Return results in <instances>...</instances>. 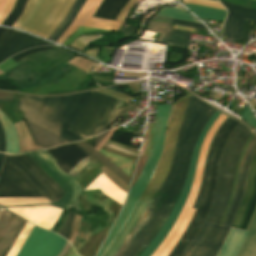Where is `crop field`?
Returning a JSON list of instances; mask_svg holds the SVG:
<instances>
[{
    "label": "crop field",
    "mask_w": 256,
    "mask_h": 256,
    "mask_svg": "<svg viewBox=\"0 0 256 256\" xmlns=\"http://www.w3.org/2000/svg\"><path fill=\"white\" fill-rule=\"evenodd\" d=\"M184 5L198 18H207V19L222 21L225 15V11L223 10H217L212 8L194 6V5H186V4Z\"/></svg>",
    "instance_id": "crop-field-27"
},
{
    "label": "crop field",
    "mask_w": 256,
    "mask_h": 256,
    "mask_svg": "<svg viewBox=\"0 0 256 256\" xmlns=\"http://www.w3.org/2000/svg\"><path fill=\"white\" fill-rule=\"evenodd\" d=\"M107 132H108V131H107ZM107 132H104V133L100 134L94 141H92V142L90 143V145H92L93 147H95V146L99 143V141L107 134Z\"/></svg>",
    "instance_id": "crop-field-46"
},
{
    "label": "crop field",
    "mask_w": 256,
    "mask_h": 256,
    "mask_svg": "<svg viewBox=\"0 0 256 256\" xmlns=\"http://www.w3.org/2000/svg\"><path fill=\"white\" fill-rule=\"evenodd\" d=\"M214 111L190 95L168 175L114 256H139L155 238L179 198L195 142Z\"/></svg>",
    "instance_id": "crop-field-1"
},
{
    "label": "crop field",
    "mask_w": 256,
    "mask_h": 256,
    "mask_svg": "<svg viewBox=\"0 0 256 256\" xmlns=\"http://www.w3.org/2000/svg\"><path fill=\"white\" fill-rule=\"evenodd\" d=\"M97 52H98V48H93V49H90V50H88V51H86V52H84V53L89 54L90 56H92V57H94V58L100 60V59L97 57ZM100 61H101V60H100Z\"/></svg>",
    "instance_id": "crop-field-45"
},
{
    "label": "crop field",
    "mask_w": 256,
    "mask_h": 256,
    "mask_svg": "<svg viewBox=\"0 0 256 256\" xmlns=\"http://www.w3.org/2000/svg\"><path fill=\"white\" fill-rule=\"evenodd\" d=\"M74 215H75L74 213L70 212V214H69L68 218L66 219L65 223L63 224L61 229L58 231V234L63 236L65 239H68V237L70 235L71 224H72Z\"/></svg>",
    "instance_id": "crop-field-35"
},
{
    "label": "crop field",
    "mask_w": 256,
    "mask_h": 256,
    "mask_svg": "<svg viewBox=\"0 0 256 256\" xmlns=\"http://www.w3.org/2000/svg\"><path fill=\"white\" fill-rule=\"evenodd\" d=\"M152 20H157V21H162V22H167V23H172V24H177V25H182V26H187V27H192V28H200V29H206L203 25L200 24H194V23H189L185 21H180L164 16H158L155 15Z\"/></svg>",
    "instance_id": "crop-field-31"
},
{
    "label": "crop field",
    "mask_w": 256,
    "mask_h": 256,
    "mask_svg": "<svg viewBox=\"0 0 256 256\" xmlns=\"http://www.w3.org/2000/svg\"><path fill=\"white\" fill-rule=\"evenodd\" d=\"M174 25L150 21L146 30L163 33L161 41L168 46L187 48L190 33L172 30Z\"/></svg>",
    "instance_id": "crop-field-18"
},
{
    "label": "crop field",
    "mask_w": 256,
    "mask_h": 256,
    "mask_svg": "<svg viewBox=\"0 0 256 256\" xmlns=\"http://www.w3.org/2000/svg\"><path fill=\"white\" fill-rule=\"evenodd\" d=\"M29 156L40 164L44 170L47 171L67 192L66 196L55 204V206L63 207L67 210L72 206H75L77 210L80 211L77 203V197L82 192V189L79 184L72 179L73 177L71 178L63 173L55 163L53 157L46 152L30 154Z\"/></svg>",
    "instance_id": "crop-field-13"
},
{
    "label": "crop field",
    "mask_w": 256,
    "mask_h": 256,
    "mask_svg": "<svg viewBox=\"0 0 256 256\" xmlns=\"http://www.w3.org/2000/svg\"><path fill=\"white\" fill-rule=\"evenodd\" d=\"M239 114L245 119V122L248 123L252 128H256V120L254 119L251 111L248 109L247 106H245Z\"/></svg>",
    "instance_id": "crop-field-36"
},
{
    "label": "crop field",
    "mask_w": 256,
    "mask_h": 256,
    "mask_svg": "<svg viewBox=\"0 0 256 256\" xmlns=\"http://www.w3.org/2000/svg\"><path fill=\"white\" fill-rule=\"evenodd\" d=\"M146 158L147 157H143V156L139 157V161H138V165H137V168H136V171H135L132 187L135 184V182H136V180H137V178H138V176H139V174H140V172H141V170H142V168H143V166H144V164L146 162Z\"/></svg>",
    "instance_id": "crop-field-39"
},
{
    "label": "crop field",
    "mask_w": 256,
    "mask_h": 256,
    "mask_svg": "<svg viewBox=\"0 0 256 256\" xmlns=\"http://www.w3.org/2000/svg\"><path fill=\"white\" fill-rule=\"evenodd\" d=\"M127 1L128 0H103L93 17L114 20Z\"/></svg>",
    "instance_id": "crop-field-23"
},
{
    "label": "crop field",
    "mask_w": 256,
    "mask_h": 256,
    "mask_svg": "<svg viewBox=\"0 0 256 256\" xmlns=\"http://www.w3.org/2000/svg\"><path fill=\"white\" fill-rule=\"evenodd\" d=\"M93 32H110V31H104L99 29H93L88 27H82L80 26L79 29L72 34V36L64 43L65 45H70L75 39H77L79 36L93 33Z\"/></svg>",
    "instance_id": "crop-field-33"
},
{
    "label": "crop field",
    "mask_w": 256,
    "mask_h": 256,
    "mask_svg": "<svg viewBox=\"0 0 256 256\" xmlns=\"http://www.w3.org/2000/svg\"><path fill=\"white\" fill-rule=\"evenodd\" d=\"M250 21L244 20L243 23V40L248 41V29Z\"/></svg>",
    "instance_id": "crop-field-42"
},
{
    "label": "crop field",
    "mask_w": 256,
    "mask_h": 256,
    "mask_svg": "<svg viewBox=\"0 0 256 256\" xmlns=\"http://www.w3.org/2000/svg\"><path fill=\"white\" fill-rule=\"evenodd\" d=\"M46 151L54 157L62 171L73 177L87 163L94 159L75 143L59 146Z\"/></svg>",
    "instance_id": "crop-field-15"
},
{
    "label": "crop field",
    "mask_w": 256,
    "mask_h": 256,
    "mask_svg": "<svg viewBox=\"0 0 256 256\" xmlns=\"http://www.w3.org/2000/svg\"><path fill=\"white\" fill-rule=\"evenodd\" d=\"M86 0H76L72 5L71 9L67 13L64 20L60 23V25L55 29V31L50 35L48 40L56 42L58 38L63 34V32L68 28V26L72 23L75 16L81 9L82 5Z\"/></svg>",
    "instance_id": "crop-field-25"
},
{
    "label": "crop field",
    "mask_w": 256,
    "mask_h": 256,
    "mask_svg": "<svg viewBox=\"0 0 256 256\" xmlns=\"http://www.w3.org/2000/svg\"><path fill=\"white\" fill-rule=\"evenodd\" d=\"M248 231L250 233L237 256H256V212Z\"/></svg>",
    "instance_id": "crop-field-26"
},
{
    "label": "crop field",
    "mask_w": 256,
    "mask_h": 256,
    "mask_svg": "<svg viewBox=\"0 0 256 256\" xmlns=\"http://www.w3.org/2000/svg\"><path fill=\"white\" fill-rule=\"evenodd\" d=\"M228 116L221 113V115L216 120L214 126L210 128L204 143L201 147L199 159H198V165L196 170L195 179L191 188V191L189 193L188 199L177 219L175 222L172 230L164 240V242L160 245V247L155 251V253L152 256H168V254L171 252V250L174 248V246L177 244V242L182 237L185 229L187 228L194 212L196 209L192 208L194 200L197 196L203 169H204V162L206 158V154L209 148V144L211 139L213 138L216 130L218 129L219 125L227 118Z\"/></svg>",
    "instance_id": "crop-field-11"
},
{
    "label": "crop field",
    "mask_w": 256,
    "mask_h": 256,
    "mask_svg": "<svg viewBox=\"0 0 256 256\" xmlns=\"http://www.w3.org/2000/svg\"><path fill=\"white\" fill-rule=\"evenodd\" d=\"M170 106L171 105H158L157 117H156L155 128H154L153 144H152L151 151L148 155L146 165L139 179L137 180L110 235L108 236L105 244L103 245L102 249L99 251V253L96 256H101V254L109 245L111 240L120 230V228L122 227L125 220L133 210L135 204L137 203L138 199L140 198L141 194L143 193L144 189L146 188L147 184L149 183L153 175V172L155 170L157 161L159 159V156L164 144L165 130H166Z\"/></svg>",
    "instance_id": "crop-field-7"
},
{
    "label": "crop field",
    "mask_w": 256,
    "mask_h": 256,
    "mask_svg": "<svg viewBox=\"0 0 256 256\" xmlns=\"http://www.w3.org/2000/svg\"><path fill=\"white\" fill-rule=\"evenodd\" d=\"M237 124L238 122L228 117L217 130L210 144L201 186L193 206L197 208V210L183 237L169 254V256H181L193 240L195 234L204 221L213 198L216 173L219 165L221 151L230 133Z\"/></svg>",
    "instance_id": "crop-field-5"
},
{
    "label": "crop field",
    "mask_w": 256,
    "mask_h": 256,
    "mask_svg": "<svg viewBox=\"0 0 256 256\" xmlns=\"http://www.w3.org/2000/svg\"><path fill=\"white\" fill-rule=\"evenodd\" d=\"M220 2L228 9L223 34L226 39L242 40L243 19L256 21V10L234 6L223 1Z\"/></svg>",
    "instance_id": "crop-field-17"
},
{
    "label": "crop field",
    "mask_w": 256,
    "mask_h": 256,
    "mask_svg": "<svg viewBox=\"0 0 256 256\" xmlns=\"http://www.w3.org/2000/svg\"><path fill=\"white\" fill-rule=\"evenodd\" d=\"M252 136H254V135L252 134ZM252 136H251V137H252ZM251 137H250V138H251ZM250 138H249V140H250ZM249 140L247 141V143H246V145H245V147H244V149H243L242 153L244 152V150H245V148H246V146H247V144H248ZM242 153H241V155H242ZM240 158H241V156H240ZM239 162H240V159H239V161H238L237 170H238ZM237 170H236V175H237ZM236 175H235V180H234V186H235V181H236ZM234 186H233V191H234ZM233 191H232V195H233ZM232 195H231V198H230L229 204H230V202H231ZM229 204H228V207H229ZM228 207H227V209H226V211H225V213H224V215H223V218H222V220H221V223H220V224H222V221L224 220V218H225V216H226V213H227Z\"/></svg>",
    "instance_id": "crop-field-41"
},
{
    "label": "crop field",
    "mask_w": 256,
    "mask_h": 256,
    "mask_svg": "<svg viewBox=\"0 0 256 256\" xmlns=\"http://www.w3.org/2000/svg\"><path fill=\"white\" fill-rule=\"evenodd\" d=\"M15 215L12 213L4 210L3 214L0 217V240L4 235L5 231L7 230L8 226L10 225L11 221L13 220Z\"/></svg>",
    "instance_id": "crop-field-34"
},
{
    "label": "crop field",
    "mask_w": 256,
    "mask_h": 256,
    "mask_svg": "<svg viewBox=\"0 0 256 256\" xmlns=\"http://www.w3.org/2000/svg\"><path fill=\"white\" fill-rule=\"evenodd\" d=\"M68 214H69V211L63 210V212L59 216L58 220L56 221L54 226L51 228V231H54V232L57 233V231L60 229V227L62 226L63 222L67 218Z\"/></svg>",
    "instance_id": "crop-field-38"
},
{
    "label": "crop field",
    "mask_w": 256,
    "mask_h": 256,
    "mask_svg": "<svg viewBox=\"0 0 256 256\" xmlns=\"http://www.w3.org/2000/svg\"><path fill=\"white\" fill-rule=\"evenodd\" d=\"M81 148H83L87 153L93 156L96 160H98L101 164L107 167L110 171H112L116 176L122 179L126 184L129 185V177L124 174L121 170L111 164L105 157H103L98 151L94 150L90 147L85 141L76 142Z\"/></svg>",
    "instance_id": "crop-field-24"
},
{
    "label": "crop field",
    "mask_w": 256,
    "mask_h": 256,
    "mask_svg": "<svg viewBox=\"0 0 256 256\" xmlns=\"http://www.w3.org/2000/svg\"><path fill=\"white\" fill-rule=\"evenodd\" d=\"M255 210H256V185H255L254 193H253V196H252L249 208H248V212H247L244 224L241 229H244V230L248 229L250 221L252 219V216H253Z\"/></svg>",
    "instance_id": "crop-field-32"
},
{
    "label": "crop field",
    "mask_w": 256,
    "mask_h": 256,
    "mask_svg": "<svg viewBox=\"0 0 256 256\" xmlns=\"http://www.w3.org/2000/svg\"><path fill=\"white\" fill-rule=\"evenodd\" d=\"M92 204L99 206L107 214L101 215L96 213L95 215H82V218L99 227L77 250L81 256H93L96 253L122 205L110 199L99 190L82 193L79 199V206L92 208Z\"/></svg>",
    "instance_id": "crop-field-10"
},
{
    "label": "crop field",
    "mask_w": 256,
    "mask_h": 256,
    "mask_svg": "<svg viewBox=\"0 0 256 256\" xmlns=\"http://www.w3.org/2000/svg\"><path fill=\"white\" fill-rule=\"evenodd\" d=\"M43 42V40L37 39L35 37L20 32V34L18 35V37L16 38V40L14 41V43L12 44V46L10 47V49L8 50V52L6 53L1 62L6 60L8 57L20 51L26 50L28 48H33L42 45H53L48 42Z\"/></svg>",
    "instance_id": "crop-field-21"
},
{
    "label": "crop field",
    "mask_w": 256,
    "mask_h": 256,
    "mask_svg": "<svg viewBox=\"0 0 256 256\" xmlns=\"http://www.w3.org/2000/svg\"><path fill=\"white\" fill-rule=\"evenodd\" d=\"M75 0H28L16 23L20 28L47 39L63 20Z\"/></svg>",
    "instance_id": "crop-field-9"
},
{
    "label": "crop field",
    "mask_w": 256,
    "mask_h": 256,
    "mask_svg": "<svg viewBox=\"0 0 256 256\" xmlns=\"http://www.w3.org/2000/svg\"><path fill=\"white\" fill-rule=\"evenodd\" d=\"M28 126L30 129V132L32 134V137L34 139V142L37 146L43 147V148H49L53 146H58L62 144L69 143L68 141L44 130L41 129L30 122H28Z\"/></svg>",
    "instance_id": "crop-field-20"
},
{
    "label": "crop field",
    "mask_w": 256,
    "mask_h": 256,
    "mask_svg": "<svg viewBox=\"0 0 256 256\" xmlns=\"http://www.w3.org/2000/svg\"><path fill=\"white\" fill-rule=\"evenodd\" d=\"M62 189L26 155H6L0 174V198L47 197L51 203Z\"/></svg>",
    "instance_id": "crop-field-4"
},
{
    "label": "crop field",
    "mask_w": 256,
    "mask_h": 256,
    "mask_svg": "<svg viewBox=\"0 0 256 256\" xmlns=\"http://www.w3.org/2000/svg\"><path fill=\"white\" fill-rule=\"evenodd\" d=\"M3 210H0V215L2 214Z\"/></svg>",
    "instance_id": "crop-field-51"
},
{
    "label": "crop field",
    "mask_w": 256,
    "mask_h": 256,
    "mask_svg": "<svg viewBox=\"0 0 256 256\" xmlns=\"http://www.w3.org/2000/svg\"><path fill=\"white\" fill-rule=\"evenodd\" d=\"M91 91L63 97L22 95L18 109L24 118L70 142L82 140L67 129L80 115Z\"/></svg>",
    "instance_id": "crop-field-3"
},
{
    "label": "crop field",
    "mask_w": 256,
    "mask_h": 256,
    "mask_svg": "<svg viewBox=\"0 0 256 256\" xmlns=\"http://www.w3.org/2000/svg\"><path fill=\"white\" fill-rule=\"evenodd\" d=\"M27 221L15 216L6 234L0 242V256H6Z\"/></svg>",
    "instance_id": "crop-field-22"
},
{
    "label": "crop field",
    "mask_w": 256,
    "mask_h": 256,
    "mask_svg": "<svg viewBox=\"0 0 256 256\" xmlns=\"http://www.w3.org/2000/svg\"><path fill=\"white\" fill-rule=\"evenodd\" d=\"M4 31H5V28H0V36L3 34Z\"/></svg>",
    "instance_id": "crop-field-50"
},
{
    "label": "crop field",
    "mask_w": 256,
    "mask_h": 256,
    "mask_svg": "<svg viewBox=\"0 0 256 256\" xmlns=\"http://www.w3.org/2000/svg\"><path fill=\"white\" fill-rule=\"evenodd\" d=\"M220 113L221 112L216 110V112L210 118L207 126L203 129V131L195 145L194 151H193V155H192V159H191V163H190V167H189V171H188V176L185 181L183 192H182L178 202L174 206L168 219L166 220L164 226L162 227V229L156 236V238L151 242V244L143 251V253L140 256H151L154 253V251L159 247V245L163 242V240L165 239V237L171 230L174 222L176 221V219H177V217L187 199L188 193L190 191V188H191V185H192V182L194 179V175H195L196 164H197V159H198V154H199L201 144L204 140V137H205L208 129L213 124V122L217 119V117L220 115Z\"/></svg>",
    "instance_id": "crop-field-12"
},
{
    "label": "crop field",
    "mask_w": 256,
    "mask_h": 256,
    "mask_svg": "<svg viewBox=\"0 0 256 256\" xmlns=\"http://www.w3.org/2000/svg\"><path fill=\"white\" fill-rule=\"evenodd\" d=\"M6 0H0V11L2 10Z\"/></svg>",
    "instance_id": "crop-field-49"
},
{
    "label": "crop field",
    "mask_w": 256,
    "mask_h": 256,
    "mask_svg": "<svg viewBox=\"0 0 256 256\" xmlns=\"http://www.w3.org/2000/svg\"><path fill=\"white\" fill-rule=\"evenodd\" d=\"M19 34L18 31L6 29L0 38V61Z\"/></svg>",
    "instance_id": "crop-field-29"
},
{
    "label": "crop field",
    "mask_w": 256,
    "mask_h": 256,
    "mask_svg": "<svg viewBox=\"0 0 256 256\" xmlns=\"http://www.w3.org/2000/svg\"><path fill=\"white\" fill-rule=\"evenodd\" d=\"M14 94L0 92V101H12Z\"/></svg>",
    "instance_id": "crop-field-43"
},
{
    "label": "crop field",
    "mask_w": 256,
    "mask_h": 256,
    "mask_svg": "<svg viewBox=\"0 0 256 256\" xmlns=\"http://www.w3.org/2000/svg\"><path fill=\"white\" fill-rule=\"evenodd\" d=\"M13 63H15L11 58L6 60L4 63L0 64V70L4 73V71Z\"/></svg>",
    "instance_id": "crop-field-44"
},
{
    "label": "crop field",
    "mask_w": 256,
    "mask_h": 256,
    "mask_svg": "<svg viewBox=\"0 0 256 256\" xmlns=\"http://www.w3.org/2000/svg\"><path fill=\"white\" fill-rule=\"evenodd\" d=\"M90 88H94V86H92V87H88V88L79 89V90H75V91H68V92H56V93H52V95L63 94V93H70V92H76V91H82V90H86V89H90Z\"/></svg>",
    "instance_id": "crop-field-47"
},
{
    "label": "crop field",
    "mask_w": 256,
    "mask_h": 256,
    "mask_svg": "<svg viewBox=\"0 0 256 256\" xmlns=\"http://www.w3.org/2000/svg\"><path fill=\"white\" fill-rule=\"evenodd\" d=\"M4 157H5L4 154H0V172H1V168H2V163H3Z\"/></svg>",
    "instance_id": "crop-field-48"
},
{
    "label": "crop field",
    "mask_w": 256,
    "mask_h": 256,
    "mask_svg": "<svg viewBox=\"0 0 256 256\" xmlns=\"http://www.w3.org/2000/svg\"><path fill=\"white\" fill-rule=\"evenodd\" d=\"M93 92L77 121L68 129L86 139L101 133L130 107L124 102Z\"/></svg>",
    "instance_id": "crop-field-8"
},
{
    "label": "crop field",
    "mask_w": 256,
    "mask_h": 256,
    "mask_svg": "<svg viewBox=\"0 0 256 256\" xmlns=\"http://www.w3.org/2000/svg\"><path fill=\"white\" fill-rule=\"evenodd\" d=\"M73 55L74 54L57 47L48 51L36 52L21 61L41 76Z\"/></svg>",
    "instance_id": "crop-field-16"
},
{
    "label": "crop field",
    "mask_w": 256,
    "mask_h": 256,
    "mask_svg": "<svg viewBox=\"0 0 256 256\" xmlns=\"http://www.w3.org/2000/svg\"><path fill=\"white\" fill-rule=\"evenodd\" d=\"M65 244L63 238L34 226L17 256H57Z\"/></svg>",
    "instance_id": "crop-field-14"
},
{
    "label": "crop field",
    "mask_w": 256,
    "mask_h": 256,
    "mask_svg": "<svg viewBox=\"0 0 256 256\" xmlns=\"http://www.w3.org/2000/svg\"><path fill=\"white\" fill-rule=\"evenodd\" d=\"M0 152L5 153V134H4V130L1 122H0Z\"/></svg>",
    "instance_id": "crop-field-40"
},
{
    "label": "crop field",
    "mask_w": 256,
    "mask_h": 256,
    "mask_svg": "<svg viewBox=\"0 0 256 256\" xmlns=\"http://www.w3.org/2000/svg\"><path fill=\"white\" fill-rule=\"evenodd\" d=\"M56 46H46V47H41V48H33L31 50H27V51H24L20 54H17L13 57H11L15 62L22 59L23 57L33 53V52H36V51H41V50H47V49H51V48H54Z\"/></svg>",
    "instance_id": "crop-field-37"
},
{
    "label": "crop field",
    "mask_w": 256,
    "mask_h": 256,
    "mask_svg": "<svg viewBox=\"0 0 256 256\" xmlns=\"http://www.w3.org/2000/svg\"><path fill=\"white\" fill-rule=\"evenodd\" d=\"M27 0H17L14 9L3 22V26L12 27L18 17L21 15Z\"/></svg>",
    "instance_id": "crop-field-30"
},
{
    "label": "crop field",
    "mask_w": 256,
    "mask_h": 256,
    "mask_svg": "<svg viewBox=\"0 0 256 256\" xmlns=\"http://www.w3.org/2000/svg\"><path fill=\"white\" fill-rule=\"evenodd\" d=\"M188 96L189 94L181 98L171 107L167 131H166L165 145L161 154V158L156 167V170L154 172V175L150 183L148 184L146 190L142 195L143 197L152 198V196L160 187L161 183L163 182L169 170L178 130L181 124V120L186 107ZM143 197L139 199L133 212L131 213V215L129 216V218L121 228V230L118 232V234L115 236L113 241L104 251L102 256H113L116 250L119 248V246L123 242V240L125 239V237L127 236V234L129 233V231L132 229L134 224L140 218L145 206L150 200L149 198H143Z\"/></svg>",
    "instance_id": "crop-field-6"
},
{
    "label": "crop field",
    "mask_w": 256,
    "mask_h": 256,
    "mask_svg": "<svg viewBox=\"0 0 256 256\" xmlns=\"http://www.w3.org/2000/svg\"><path fill=\"white\" fill-rule=\"evenodd\" d=\"M157 14L169 16V17H173V18H177L185 21L200 23L197 19H195L182 7H176V8L163 7Z\"/></svg>",
    "instance_id": "crop-field-28"
},
{
    "label": "crop field",
    "mask_w": 256,
    "mask_h": 256,
    "mask_svg": "<svg viewBox=\"0 0 256 256\" xmlns=\"http://www.w3.org/2000/svg\"><path fill=\"white\" fill-rule=\"evenodd\" d=\"M255 179H256V152L252 159L242 204L239 207L238 213L236 215L235 221L232 226L234 228H239V229L241 228L243 218L245 216L246 210L248 208V205L251 199Z\"/></svg>",
    "instance_id": "crop-field-19"
},
{
    "label": "crop field",
    "mask_w": 256,
    "mask_h": 256,
    "mask_svg": "<svg viewBox=\"0 0 256 256\" xmlns=\"http://www.w3.org/2000/svg\"><path fill=\"white\" fill-rule=\"evenodd\" d=\"M251 134L243 124L239 123L228 139L221 155L212 206L194 241L182 256H216L220 250L242 200L251 158L256 151L254 136L243 154L234 196L226 219L220 226V220L231 195L237 161Z\"/></svg>",
    "instance_id": "crop-field-2"
}]
</instances>
